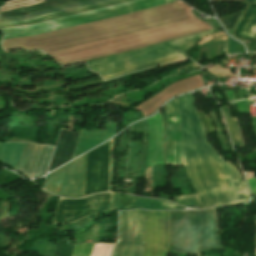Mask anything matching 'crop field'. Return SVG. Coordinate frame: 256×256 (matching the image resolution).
Listing matches in <instances>:
<instances>
[{
	"label": "crop field",
	"instance_id": "28ad6ade",
	"mask_svg": "<svg viewBox=\"0 0 256 256\" xmlns=\"http://www.w3.org/2000/svg\"><path fill=\"white\" fill-rule=\"evenodd\" d=\"M107 1H112V0H88V1H84V2H79V3L67 5V6H62V7H58V8H54V9H49V10L33 13V14L23 15L20 17L4 18V19H0V27L32 23V22L45 20V19H49V18H54V17H58V16H62V15H67V14H71V13H75V12H80V11H84V10H88V9L102 7V6H106V5H110V4H115V3H119V2H123V1H127V0H118V1L108 2V3L102 4V5H97V4L107 2ZM92 5H97V6H92ZM88 6H92V7H88ZM84 7H88V8H84ZM78 8H84V9H79V10H74L72 12L62 13L67 10L78 9ZM58 13H62V14H58ZM54 14H58V15H54ZM46 15H54V16H49L46 18L29 21L32 19L41 18Z\"/></svg>",
	"mask_w": 256,
	"mask_h": 256
},
{
	"label": "crop field",
	"instance_id": "d9b57169",
	"mask_svg": "<svg viewBox=\"0 0 256 256\" xmlns=\"http://www.w3.org/2000/svg\"><path fill=\"white\" fill-rule=\"evenodd\" d=\"M180 58H184V56L180 52H178V53H174V54L154 58V59H151V60H147V61L127 65V66H124V67H120V68L100 72L99 74L101 75V77L103 79L107 80V79H110V78H113V77H116V76H119V75H122V74H125V73H128V72L136 71V70H139V69H143V68H147V67H150V66L162 64V63L173 61V60L180 59Z\"/></svg>",
	"mask_w": 256,
	"mask_h": 256
},
{
	"label": "crop field",
	"instance_id": "eef30255",
	"mask_svg": "<svg viewBox=\"0 0 256 256\" xmlns=\"http://www.w3.org/2000/svg\"><path fill=\"white\" fill-rule=\"evenodd\" d=\"M238 53V42L230 39V54Z\"/></svg>",
	"mask_w": 256,
	"mask_h": 256
},
{
	"label": "crop field",
	"instance_id": "f4fd0767",
	"mask_svg": "<svg viewBox=\"0 0 256 256\" xmlns=\"http://www.w3.org/2000/svg\"><path fill=\"white\" fill-rule=\"evenodd\" d=\"M144 249V212H119V244L112 256H141Z\"/></svg>",
	"mask_w": 256,
	"mask_h": 256
},
{
	"label": "crop field",
	"instance_id": "d8731c3e",
	"mask_svg": "<svg viewBox=\"0 0 256 256\" xmlns=\"http://www.w3.org/2000/svg\"><path fill=\"white\" fill-rule=\"evenodd\" d=\"M84 156L46 176V190L59 196L81 197Z\"/></svg>",
	"mask_w": 256,
	"mask_h": 256
},
{
	"label": "crop field",
	"instance_id": "22f410ed",
	"mask_svg": "<svg viewBox=\"0 0 256 256\" xmlns=\"http://www.w3.org/2000/svg\"><path fill=\"white\" fill-rule=\"evenodd\" d=\"M148 154L146 167L162 164V135L163 126L159 112L148 119Z\"/></svg>",
	"mask_w": 256,
	"mask_h": 256
},
{
	"label": "crop field",
	"instance_id": "ae1a2a85",
	"mask_svg": "<svg viewBox=\"0 0 256 256\" xmlns=\"http://www.w3.org/2000/svg\"><path fill=\"white\" fill-rule=\"evenodd\" d=\"M233 119H234L235 124H236V127H237V131H238V134H239V137H240L241 145H242V147H245L244 139H243V137H242V135H241V131H240L238 119H237V117H235V118H233Z\"/></svg>",
	"mask_w": 256,
	"mask_h": 256
},
{
	"label": "crop field",
	"instance_id": "3316defc",
	"mask_svg": "<svg viewBox=\"0 0 256 256\" xmlns=\"http://www.w3.org/2000/svg\"><path fill=\"white\" fill-rule=\"evenodd\" d=\"M169 211L146 212V250L143 256H166Z\"/></svg>",
	"mask_w": 256,
	"mask_h": 256
},
{
	"label": "crop field",
	"instance_id": "733c2abd",
	"mask_svg": "<svg viewBox=\"0 0 256 256\" xmlns=\"http://www.w3.org/2000/svg\"><path fill=\"white\" fill-rule=\"evenodd\" d=\"M232 35L242 41L256 40V5H247V9Z\"/></svg>",
	"mask_w": 256,
	"mask_h": 256
},
{
	"label": "crop field",
	"instance_id": "412701ff",
	"mask_svg": "<svg viewBox=\"0 0 256 256\" xmlns=\"http://www.w3.org/2000/svg\"><path fill=\"white\" fill-rule=\"evenodd\" d=\"M216 32H219V31L212 30V31L200 33L197 35L185 37V38L174 40L171 42L159 44L156 46L129 52L126 54L115 56V57L88 63L87 65L88 67H93L98 65L99 67L91 69L92 71H96V72L116 68L119 66L139 62L142 60L158 57L161 55L177 52V51L188 49V48H192L197 39L216 33Z\"/></svg>",
	"mask_w": 256,
	"mask_h": 256
},
{
	"label": "crop field",
	"instance_id": "5a996713",
	"mask_svg": "<svg viewBox=\"0 0 256 256\" xmlns=\"http://www.w3.org/2000/svg\"><path fill=\"white\" fill-rule=\"evenodd\" d=\"M166 107L168 123L164 145L165 164L184 166L179 98Z\"/></svg>",
	"mask_w": 256,
	"mask_h": 256
},
{
	"label": "crop field",
	"instance_id": "730fd06b",
	"mask_svg": "<svg viewBox=\"0 0 256 256\" xmlns=\"http://www.w3.org/2000/svg\"><path fill=\"white\" fill-rule=\"evenodd\" d=\"M237 107L239 112L249 113L247 100L237 101Z\"/></svg>",
	"mask_w": 256,
	"mask_h": 256
},
{
	"label": "crop field",
	"instance_id": "8a807250",
	"mask_svg": "<svg viewBox=\"0 0 256 256\" xmlns=\"http://www.w3.org/2000/svg\"><path fill=\"white\" fill-rule=\"evenodd\" d=\"M185 168L202 207L247 200L239 171L221 157L205 137L194 107V95L180 98Z\"/></svg>",
	"mask_w": 256,
	"mask_h": 256
},
{
	"label": "crop field",
	"instance_id": "bd1437ed",
	"mask_svg": "<svg viewBox=\"0 0 256 256\" xmlns=\"http://www.w3.org/2000/svg\"><path fill=\"white\" fill-rule=\"evenodd\" d=\"M238 1H243V2H245V0H238Z\"/></svg>",
	"mask_w": 256,
	"mask_h": 256
},
{
	"label": "crop field",
	"instance_id": "e52e79f7",
	"mask_svg": "<svg viewBox=\"0 0 256 256\" xmlns=\"http://www.w3.org/2000/svg\"><path fill=\"white\" fill-rule=\"evenodd\" d=\"M113 193L99 194L82 199L61 198L54 223L76 222L89 215V220L108 210Z\"/></svg>",
	"mask_w": 256,
	"mask_h": 256
},
{
	"label": "crop field",
	"instance_id": "214f88e0",
	"mask_svg": "<svg viewBox=\"0 0 256 256\" xmlns=\"http://www.w3.org/2000/svg\"><path fill=\"white\" fill-rule=\"evenodd\" d=\"M44 1H45V3H43V4H39V5L23 8V9L1 12V17L0 18L23 15L25 13H32V12L44 10V9H47V8H51V7H54L56 5H63V4L72 3V2L81 1V0H44ZM40 6H42V8L18 13L19 11L24 10V9H33V8H38Z\"/></svg>",
	"mask_w": 256,
	"mask_h": 256
},
{
	"label": "crop field",
	"instance_id": "00972430",
	"mask_svg": "<svg viewBox=\"0 0 256 256\" xmlns=\"http://www.w3.org/2000/svg\"><path fill=\"white\" fill-rule=\"evenodd\" d=\"M242 11L235 13V14H231L225 17L220 18V21L222 22V24L224 25V27L229 30L231 28L234 27L235 23L237 22L239 16L241 15Z\"/></svg>",
	"mask_w": 256,
	"mask_h": 256
},
{
	"label": "crop field",
	"instance_id": "dd49c442",
	"mask_svg": "<svg viewBox=\"0 0 256 256\" xmlns=\"http://www.w3.org/2000/svg\"><path fill=\"white\" fill-rule=\"evenodd\" d=\"M112 140L86 153L83 196L109 191Z\"/></svg>",
	"mask_w": 256,
	"mask_h": 256
},
{
	"label": "crop field",
	"instance_id": "ac0d7876",
	"mask_svg": "<svg viewBox=\"0 0 256 256\" xmlns=\"http://www.w3.org/2000/svg\"><path fill=\"white\" fill-rule=\"evenodd\" d=\"M216 229L214 208L171 211L170 238L175 251L201 256L200 250L222 249Z\"/></svg>",
	"mask_w": 256,
	"mask_h": 256
},
{
	"label": "crop field",
	"instance_id": "750c4746",
	"mask_svg": "<svg viewBox=\"0 0 256 256\" xmlns=\"http://www.w3.org/2000/svg\"><path fill=\"white\" fill-rule=\"evenodd\" d=\"M248 2L256 3V0H248Z\"/></svg>",
	"mask_w": 256,
	"mask_h": 256
},
{
	"label": "crop field",
	"instance_id": "cbeb9de0",
	"mask_svg": "<svg viewBox=\"0 0 256 256\" xmlns=\"http://www.w3.org/2000/svg\"><path fill=\"white\" fill-rule=\"evenodd\" d=\"M79 132L61 131L49 171L71 160Z\"/></svg>",
	"mask_w": 256,
	"mask_h": 256
},
{
	"label": "crop field",
	"instance_id": "a9b5d70f",
	"mask_svg": "<svg viewBox=\"0 0 256 256\" xmlns=\"http://www.w3.org/2000/svg\"><path fill=\"white\" fill-rule=\"evenodd\" d=\"M93 244L75 245L71 256H89Z\"/></svg>",
	"mask_w": 256,
	"mask_h": 256
},
{
	"label": "crop field",
	"instance_id": "34b2d1b8",
	"mask_svg": "<svg viewBox=\"0 0 256 256\" xmlns=\"http://www.w3.org/2000/svg\"><path fill=\"white\" fill-rule=\"evenodd\" d=\"M173 1L177 0H135L115 6L84 12L33 25L4 27L1 29L5 34L4 39L31 36L104 18L122 15Z\"/></svg>",
	"mask_w": 256,
	"mask_h": 256
},
{
	"label": "crop field",
	"instance_id": "1d83c4d3",
	"mask_svg": "<svg viewBox=\"0 0 256 256\" xmlns=\"http://www.w3.org/2000/svg\"><path fill=\"white\" fill-rule=\"evenodd\" d=\"M255 218H256V215H255ZM254 256H256V252H255V255Z\"/></svg>",
	"mask_w": 256,
	"mask_h": 256
},
{
	"label": "crop field",
	"instance_id": "92a150f3",
	"mask_svg": "<svg viewBox=\"0 0 256 256\" xmlns=\"http://www.w3.org/2000/svg\"><path fill=\"white\" fill-rule=\"evenodd\" d=\"M220 107H221L222 113H223V115L225 117L227 126L229 128V131H230V134H231L234 146L237 147V148H240L241 145H240L239 137L237 135L236 127H235V124L233 122V119H232V116L230 114V111L228 109V106L227 105H223V106H220Z\"/></svg>",
	"mask_w": 256,
	"mask_h": 256
},
{
	"label": "crop field",
	"instance_id": "4a817a6b",
	"mask_svg": "<svg viewBox=\"0 0 256 256\" xmlns=\"http://www.w3.org/2000/svg\"><path fill=\"white\" fill-rule=\"evenodd\" d=\"M133 206L144 209H176V205L171 202H164L159 200L141 199L133 196ZM130 206H120L119 194L114 193L110 211L118 208Z\"/></svg>",
	"mask_w": 256,
	"mask_h": 256
},
{
	"label": "crop field",
	"instance_id": "d3111659",
	"mask_svg": "<svg viewBox=\"0 0 256 256\" xmlns=\"http://www.w3.org/2000/svg\"><path fill=\"white\" fill-rule=\"evenodd\" d=\"M251 121H252L253 129H254V131L256 133V118L251 119Z\"/></svg>",
	"mask_w": 256,
	"mask_h": 256
},
{
	"label": "crop field",
	"instance_id": "bc2a9ffb",
	"mask_svg": "<svg viewBox=\"0 0 256 256\" xmlns=\"http://www.w3.org/2000/svg\"><path fill=\"white\" fill-rule=\"evenodd\" d=\"M24 143H1L0 160L13 168H16Z\"/></svg>",
	"mask_w": 256,
	"mask_h": 256
},
{
	"label": "crop field",
	"instance_id": "d1516ede",
	"mask_svg": "<svg viewBox=\"0 0 256 256\" xmlns=\"http://www.w3.org/2000/svg\"><path fill=\"white\" fill-rule=\"evenodd\" d=\"M53 147L26 143L18 166V171L34 178L43 175Z\"/></svg>",
	"mask_w": 256,
	"mask_h": 256
},
{
	"label": "crop field",
	"instance_id": "dafd665d",
	"mask_svg": "<svg viewBox=\"0 0 256 256\" xmlns=\"http://www.w3.org/2000/svg\"><path fill=\"white\" fill-rule=\"evenodd\" d=\"M114 244H95L91 256H110Z\"/></svg>",
	"mask_w": 256,
	"mask_h": 256
},
{
	"label": "crop field",
	"instance_id": "4177f3b9",
	"mask_svg": "<svg viewBox=\"0 0 256 256\" xmlns=\"http://www.w3.org/2000/svg\"><path fill=\"white\" fill-rule=\"evenodd\" d=\"M176 200L184 206L200 205L196 195L176 197Z\"/></svg>",
	"mask_w": 256,
	"mask_h": 256
},
{
	"label": "crop field",
	"instance_id": "5142ce71",
	"mask_svg": "<svg viewBox=\"0 0 256 256\" xmlns=\"http://www.w3.org/2000/svg\"><path fill=\"white\" fill-rule=\"evenodd\" d=\"M116 124L117 123H108L106 131L91 132L87 130H81L73 158L95 147L96 145L102 143L114 135Z\"/></svg>",
	"mask_w": 256,
	"mask_h": 256
}]
</instances>
